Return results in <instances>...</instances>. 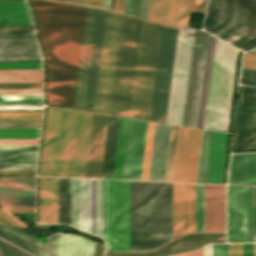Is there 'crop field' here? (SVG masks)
I'll list each match as a JSON object with an SVG mask.
<instances>
[{
  "label": "crop field",
  "instance_id": "8a807250",
  "mask_svg": "<svg viewBox=\"0 0 256 256\" xmlns=\"http://www.w3.org/2000/svg\"><path fill=\"white\" fill-rule=\"evenodd\" d=\"M32 3L47 57L48 104L71 108L86 7ZM178 31L87 7L72 108L165 122ZM202 33L180 28L166 122L189 126ZM210 37L203 33L190 126L199 124ZM238 51L215 40L202 128L228 129Z\"/></svg>",
  "mask_w": 256,
  "mask_h": 256
},
{
  "label": "crop field",
  "instance_id": "ac0d7876",
  "mask_svg": "<svg viewBox=\"0 0 256 256\" xmlns=\"http://www.w3.org/2000/svg\"><path fill=\"white\" fill-rule=\"evenodd\" d=\"M71 225L95 234V180L71 179ZM96 235L106 251H129V181L96 180Z\"/></svg>",
  "mask_w": 256,
  "mask_h": 256
},
{
  "label": "crop field",
  "instance_id": "34b2d1b8",
  "mask_svg": "<svg viewBox=\"0 0 256 256\" xmlns=\"http://www.w3.org/2000/svg\"><path fill=\"white\" fill-rule=\"evenodd\" d=\"M91 117L48 107L39 175L84 177Z\"/></svg>",
  "mask_w": 256,
  "mask_h": 256
},
{
  "label": "crop field",
  "instance_id": "412701ff",
  "mask_svg": "<svg viewBox=\"0 0 256 256\" xmlns=\"http://www.w3.org/2000/svg\"><path fill=\"white\" fill-rule=\"evenodd\" d=\"M172 240V183L130 181V251Z\"/></svg>",
  "mask_w": 256,
  "mask_h": 256
},
{
  "label": "crop field",
  "instance_id": "f4fd0767",
  "mask_svg": "<svg viewBox=\"0 0 256 256\" xmlns=\"http://www.w3.org/2000/svg\"><path fill=\"white\" fill-rule=\"evenodd\" d=\"M204 30L241 50L256 44V0H209Z\"/></svg>",
  "mask_w": 256,
  "mask_h": 256
},
{
  "label": "crop field",
  "instance_id": "dd49c442",
  "mask_svg": "<svg viewBox=\"0 0 256 256\" xmlns=\"http://www.w3.org/2000/svg\"><path fill=\"white\" fill-rule=\"evenodd\" d=\"M227 242H253V186H227Z\"/></svg>",
  "mask_w": 256,
  "mask_h": 256
},
{
  "label": "crop field",
  "instance_id": "e52e79f7",
  "mask_svg": "<svg viewBox=\"0 0 256 256\" xmlns=\"http://www.w3.org/2000/svg\"><path fill=\"white\" fill-rule=\"evenodd\" d=\"M201 133L180 127L173 181L195 182Z\"/></svg>",
  "mask_w": 256,
  "mask_h": 256
},
{
  "label": "crop field",
  "instance_id": "d8731c3e",
  "mask_svg": "<svg viewBox=\"0 0 256 256\" xmlns=\"http://www.w3.org/2000/svg\"><path fill=\"white\" fill-rule=\"evenodd\" d=\"M147 122L128 119L120 179L140 180Z\"/></svg>",
  "mask_w": 256,
  "mask_h": 256
},
{
  "label": "crop field",
  "instance_id": "5a996713",
  "mask_svg": "<svg viewBox=\"0 0 256 256\" xmlns=\"http://www.w3.org/2000/svg\"><path fill=\"white\" fill-rule=\"evenodd\" d=\"M195 232V184L173 183V239Z\"/></svg>",
  "mask_w": 256,
  "mask_h": 256
},
{
  "label": "crop field",
  "instance_id": "3316defc",
  "mask_svg": "<svg viewBox=\"0 0 256 256\" xmlns=\"http://www.w3.org/2000/svg\"><path fill=\"white\" fill-rule=\"evenodd\" d=\"M256 149V88L244 86L236 150Z\"/></svg>",
  "mask_w": 256,
  "mask_h": 256
},
{
  "label": "crop field",
  "instance_id": "28ad6ade",
  "mask_svg": "<svg viewBox=\"0 0 256 256\" xmlns=\"http://www.w3.org/2000/svg\"><path fill=\"white\" fill-rule=\"evenodd\" d=\"M107 119L93 114L85 177L100 178Z\"/></svg>",
  "mask_w": 256,
  "mask_h": 256
},
{
  "label": "crop field",
  "instance_id": "d1516ede",
  "mask_svg": "<svg viewBox=\"0 0 256 256\" xmlns=\"http://www.w3.org/2000/svg\"><path fill=\"white\" fill-rule=\"evenodd\" d=\"M225 231V186L205 185V232Z\"/></svg>",
  "mask_w": 256,
  "mask_h": 256
},
{
  "label": "crop field",
  "instance_id": "22f410ed",
  "mask_svg": "<svg viewBox=\"0 0 256 256\" xmlns=\"http://www.w3.org/2000/svg\"><path fill=\"white\" fill-rule=\"evenodd\" d=\"M171 125L155 123L148 180L164 181Z\"/></svg>",
  "mask_w": 256,
  "mask_h": 256
},
{
  "label": "crop field",
  "instance_id": "cbeb9de0",
  "mask_svg": "<svg viewBox=\"0 0 256 256\" xmlns=\"http://www.w3.org/2000/svg\"><path fill=\"white\" fill-rule=\"evenodd\" d=\"M38 146H0V170H35Z\"/></svg>",
  "mask_w": 256,
  "mask_h": 256
},
{
  "label": "crop field",
  "instance_id": "5142ce71",
  "mask_svg": "<svg viewBox=\"0 0 256 256\" xmlns=\"http://www.w3.org/2000/svg\"><path fill=\"white\" fill-rule=\"evenodd\" d=\"M39 223H57V178L39 177Z\"/></svg>",
  "mask_w": 256,
  "mask_h": 256
},
{
  "label": "crop field",
  "instance_id": "d9b57169",
  "mask_svg": "<svg viewBox=\"0 0 256 256\" xmlns=\"http://www.w3.org/2000/svg\"><path fill=\"white\" fill-rule=\"evenodd\" d=\"M228 184H256V152L232 154Z\"/></svg>",
  "mask_w": 256,
  "mask_h": 256
},
{
  "label": "crop field",
  "instance_id": "733c2abd",
  "mask_svg": "<svg viewBox=\"0 0 256 256\" xmlns=\"http://www.w3.org/2000/svg\"><path fill=\"white\" fill-rule=\"evenodd\" d=\"M227 134L213 132L206 183L221 184Z\"/></svg>",
  "mask_w": 256,
  "mask_h": 256
},
{
  "label": "crop field",
  "instance_id": "4a817a6b",
  "mask_svg": "<svg viewBox=\"0 0 256 256\" xmlns=\"http://www.w3.org/2000/svg\"><path fill=\"white\" fill-rule=\"evenodd\" d=\"M41 58L37 39L0 40V59Z\"/></svg>",
  "mask_w": 256,
  "mask_h": 256
},
{
  "label": "crop field",
  "instance_id": "bc2a9ffb",
  "mask_svg": "<svg viewBox=\"0 0 256 256\" xmlns=\"http://www.w3.org/2000/svg\"><path fill=\"white\" fill-rule=\"evenodd\" d=\"M210 242H225V233L205 234V236L186 237L177 243L171 245L165 250L158 252L152 256H169L193 249H197ZM105 256H117L113 254H105Z\"/></svg>",
  "mask_w": 256,
  "mask_h": 256
},
{
  "label": "crop field",
  "instance_id": "214f88e0",
  "mask_svg": "<svg viewBox=\"0 0 256 256\" xmlns=\"http://www.w3.org/2000/svg\"><path fill=\"white\" fill-rule=\"evenodd\" d=\"M33 24L26 1L0 2V25Z\"/></svg>",
  "mask_w": 256,
  "mask_h": 256
},
{
  "label": "crop field",
  "instance_id": "92a150f3",
  "mask_svg": "<svg viewBox=\"0 0 256 256\" xmlns=\"http://www.w3.org/2000/svg\"><path fill=\"white\" fill-rule=\"evenodd\" d=\"M94 243L74 235L60 233L58 256H93Z\"/></svg>",
  "mask_w": 256,
  "mask_h": 256
},
{
  "label": "crop field",
  "instance_id": "dafd665d",
  "mask_svg": "<svg viewBox=\"0 0 256 256\" xmlns=\"http://www.w3.org/2000/svg\"><path fill=\"white\" fill-rule=\"evenodd\" d=\"M118 122L119 118L109 116L101 178H112Z\"/></svg>",
  "mask_w": 256,
  "mask_h": 256
},
{
  "label": "crop field",
  "instance_id": "00972430",
  "mask_svg": "<svg viewBox=\"0 0 256 256\" xmlns=\"http://www.w3.org/2000/svg\"><path fill=\"white\" fill-rule=\"evenodd\" d=\"M0 236L37 256H45L46 245L7 225H0Z\"/></svg>",
  "mask_w": 256,
  "mask_h": 256
},
{
  "label": "crop field",
  "instance_id": "a9b5d70f",
  "mask_svg": "<svg viewBox=\"0 0 256 256\" xmlns=\"http://www.w3.org/2000/svg\"><path fill=\"white\" fill-rule=\"evenodd\" d=\"M58 223L70 225V179L58 178Z\"/></svg>",
  "mask_w": 256,
  "mask_h": 256
},
{
  "label": "crop field",
  "instance_id": "4177f3b9",
  "mask_svg": "<svg viewBox=\"0 0 256 256\" xmlns=\"http://www.w3.org/2000/svg\"><path fill=\"white\" fill-rule=\"evenodd\" d=\"M0 82H42V70H0Z\"/></svg>",
  "mask_w": 256,
  "mask_h": 256
},
{
  "label": "crop field",
  "instance_id": "730fd06b",
  "mask_svg": "<svg viewBox=\"0 0 256 256\" xmlns=\"http://www.w3.org/2000/svg\"><path fill=\"white\" fill-rule=\"evenodd\" d=\"M206 0H180L177 25L188 26L189 12L204 13Z\"/></svg>",
  "mask_w": 256,
  "mask_h": 256
},
{
  "label": "crop field",
  "instance_id": "eef30255",
  "mask_svg": "<svg viewBox=\"0 0 256 256\" xmlns=\"http://www.w3.org/2000/svg\"><path fill=\"white\" fill-rule=\"evenodd\" d=\"M127 119L120 118L113 178L119 179Z\"/></svg>",
  "mask_w": 256,
  "mask_h": 256
},
{
  "label": "crop field",
  "instance_id": "ae1a2a85",
  "mask_svg": "<svg viewBox=\"0 0 256 256\" xmlns=\"http://www.w3.org/2000/svg\"><path fill=\"white\" fill-rule=\"evenodd\" d=\"M40 128H0V138H39Z\"/></svg>",
  "mask_w": 256,
  "mask_h": 256
},
{
  "label": "crop field",
  "instance_id": "d3111659",
  "mask_svg": "<svg viewBox=\"0 0 256 256\" xmlns=\"http://www.w3.org/2000/svg\"><path fill=\"white\" fill-rule=\"evenodd\" d=\"M0 105H43V96H0Z\"/></svg>",
  "mask_w": 256,
  "mask_h": 256
},
{
  "label": "crop field",
  "instance_id": "750c4746",
  "mask_svg": "<svg viewBox=\"0 0 256 256\" xmlns=\"http://www.w3.org/2000/svg\"><path fill=\"white\" fill-rule=\"evenodd\" d=\"M196 232H204V185L196 184Z\"/></svg>",
  "mask_w": 256,
  "mask_h": 256
},
{
  "label": "crop field",
  "instance_id": "bd1437ed",
  "mask_svg": "<svg viewBox=\"0 0 256 256\" xmlns=\"http://www.w3.org/2000/svg\"><path fill=\"white\" fill-rule=\"evenodd\" d=\"M0 208H34V197H0Z\"/></svg>",
  "mask_w": 256,
  "mask_h": 256
},
{
  "label": "crop field",
  "instance_id": "1d83c4d3",
  "mask_svg": "<svg viewBox=\"0 0 256 256\" xmlns=\"http://www.w3.org/2000/svg\"><path fill=\"white\" fill-rule=\"evenodd\" d=\"M149 0H125L124 12L147 19Z\"/></svg>",
  "mask_w": 256,
  "mask_h": 256
},
{
  "label": "crop field",
  "instance_id": "120bbe31",
  "mask_svg": "<svg viewBox=\"0 0 256 256\" xmlns=\"http://www.w3.org/2000/svg\"><path fill=\"white\" fill-rule=\"evenodd\" d=\"M154 123L148 122L141 180H147Z\"/></svg>",
  "mask_w": 256,
  "mask_h": 256
},
{
  "label": "crop field",
  "instance_id": "d32e631a",
  "mask_svg": "<svg viewBox=\"0 0 256 256\" xmlns=\"http://www.w3.org/2000/svg\"><path fill=\"white\" fill-rule=\"evenodd\" d=\"M177 129L178 126L172 125L165 181H171L172 177Z\"/></svg>",
  "mask_w": 256,
  "mask_h": 256
},
{
  "label": "crop field",
  "instance_id": "5866460e",
  "mask_svg": "<svg viewBox=\"0 0 256 256\" xmlns=\"http://www.w3.org/2000/svg\"><path fill=\"white\" fill-rule=\"evenodd\" d=\"M42 112H0V120H41Z\"/></svg>",
  "mask_w": 256,
  "mask_h": 256
},
{
  "label": "crop field",
  "instance_id": "028f5c9d",
  "mask_svg": "<svg viewBox=\"0 0 256 256\" xmlns=\"http://www.w3.org/2000/svg\"><path fill=\"white\" fill-rule=\"evenodd\" d=\"M0 69H42V61L0 62Z\"/></svg>",
  "mask_w": 256,
  "mask_h": 256
},
{
  "label": "crop field",
  "instance_id": "e1f06a70",
  "mask_svg": "<svg viewBox=\"0 0 256 256\" xmlns=\"http://www.w3.org/2000/svg\"><path fill=\"white\" fill-rule=\"evenodd\" d=\"M165 1L166 0H150L148 19L163 23Z\"/></svg>",
  "mask_w": 256,
  "mask_h": 256
},
{
  "label": "crop field",
  "instance_id": "0bd39190",
  "mask_svg": "<svg viewBox=\"0 0 256 256\" xmlns=\"http://www.w3.org/2000/svg\"><path fill=\"white\" fill-rule=\"evenodd\" d=\"M0 224H7L21 232L27 227V225L6 209H0Z\"/></svg>",
  "mask_w": 256,
  "mask_h": 256
},
{
  "label": "crop field",
  "instance_id": "b80d0937",
  "mask_svg": "<svg viewBox=\"0 0 256 256\" xmlns=\"http://www.w3.org/2000/svg\"><path fill=\"white\" fill-rule=\"evenodd\" d=\"M0 196H34V187H0Z\"/></svg>",
  "mask_w": 256,
  "mask_h": 256
},
{
  "label": "crop field",
  "instance_id": "c035e120",
  "mask_svg": "<svg viewBox=\"0 0 256 256\" xmlns=\"http://www.w3.org/2000/svg\"><path fill=\"white\" fill-rule=\"evenodd\" d=\"M179 0H167L164 23L176 25Z\"/></svg>",
  "mask_w": 256,
  "mask_h": 256
},
{
  "label": "crop field",
  "instance_id": "c21b1889",
  "mask_svg": "<svg viewBox=\"0 0 256 256\" xmlns=\"http://www.w3.org/2000/svg\"><path fill=\"white\" fill-rule=\"evenodd\" d=\"M6 38H37L34 30H4L0 31V39Z\"/></svg>",
  "mask_w": 256,
  "mask_h": 256
},
{
  "label": "crop field",
  "instance_id": "03da06ac",
  "mask_svg": "<svg viewBox=\"0 0 256 256\" xmlns=\"http://www.w3.org/2000/svg\"><path fill=\"white\" fill-rule=\"evenodd\" d=\"M0 186H34V178H0Z\"/></svg>",
  "mask_w": 256,
  "mask_h": 256
},
{
  "label": "crop field",
  "instance_id": "b54c1fbb",
  "mask_svg": "<svg viewBox=\"0 0 256 256\" xmlns=\"http://www.w3.org/2000/svg\"><path fill=\"white\" fill-rule=\"evenodd\" d=\"M0 95H43L42 89H0Z\"/></svg>",
  "mask_w": 256,
  "mask_h": 256
},
{
  "label": "crop field",
  "instance_id": "5d738f31",
  "mask_svg": "<svg viewBox=\"0 0 256 256\" xmlns=\"http://www.w3.org/2000/svg\"><path fill=\"white\" fill-rule=\"evenodd\" d=\"M8 244L0 240V256H30Z\"/></svg>",
  "mask_w": 256,
  "mask_h": 256
},
{
  "label": "crop field",
  "instance_id": "d23c7cc5",
  "mask_svg": "<svg viewBox=\"0 0 256 256\" xmlns=\"http://www.w3.org/2000/svg\"><path fill=\"white\" fill-rule=\"evenodd\" d=\"M41 121H0V127H40Z\"/></svg>",
  "mask_w": 256,
  "mask_h": 256
},
{
  "label": "crop field",
  "instance_id": "425ffa30",
  "mask_svg": "<svg viewBox=\"0 0 256 256\" xmlns=\"http://www.w3.org/2000/svg\"><path fill=\"white\" fill-rule=\"evenodd\" d=\"M39 139H0V145H38Z\"/></svg>",
  "mask_w": 256,
  "mask_h": 256
},
{
  "label": "crop field",
  "instance_id": "25e5ab78",
  "mask_svg": "<svg viewBox=\"0 0 256 256\" xmlns=\"http://www.w3.org/2000/svg\"><path fill=\"white\" fill-rule=\"evenodd\" d=\"M241 76L256 79V70L242 68ZM243 77H241L240 84L256 86L255 79H249V78H243Z\"/></svg>",
  "mask_w": 256,
  "mask_h": 256
},
{
  "label": "crop field",
  "instance_id": "73cf0c24",
  "mask_svg": "<svg viewBox=\"0 0 256 256\" xmlns=\"http://www.w3.org/2000/svg\"><path fill=\"white\" fill-rule=\"evenodd\" d=\"M58 240H59V233L51 237H48L47 256L58 255Z\"/></svg>",
  "mask_w": 256,
  "mask_h": 256
},
{
  "label": "crop field",
  "instance_id": "89e229c0",
  "mask_svg": "<svg viewBox=\"0 0 256 256\" xmlns=\"http://www.w3.org/2000/svg\"><path fill=\"white\" fill-rule=\"evenodd\" d=\"M0 88H42V83H0Z\"/></svg>",
  "mask_w": 256,
  "mask_h": 256
},
{
  "label": "crop field",
  "instance_id": "1f2cbd36",
  "mask_svg": "<svg viewBox=\"0 0 256 256\" xmlns=\"http://www.w3.org/2000/svg\"><path fill=\"white\" fill-rule=\"evenodd\" d=\"M212 132L208 131L201 183H205Z\"/></svg>",
  "mask_w": 256,
  "mask_h": 256
},
{
  "label": "crop field",
  "instance_id": "dbb93151",
  "mask_svg": "<svg viewBox=\"0 0 256 256\" xmlns=\"http://www.w3.org/2000/svg\"><path fill=\"white\" fill-rule=\"evenodd\" d=\"M35 171H0V177H34Z\"/></svg>",
  "mask_w": 256,
  "mask_h": 256
},
{
  "label": "crop field",
  "instance_id": "0fb4a251",
  "mask_svg": "<svg viewBox=\"0 0 256 256\" xmlns=\"http://www.w3.org/2000/svg\"><path fill=\"white\" fill-rule=\"evenodd\" d=\"M242 67L256 69V55L246 53L243 57Z\"/></svg>",
  "mask_w": 256,
  "mask_h": 256
},
{
  "label": "crop field",
  "instance_id": "1d79db26",
  "mask_svg": "<svg viewBox=\"0 0 256 256\" xmlns=\"http://www.w3.org/2000/svg\"><path fill=\"white\" fill-rule=\"evenodd\" d=\"M213 256H228V244L213 245Z\"/></svg>",
  "mask_w": 256,
  "mask_h": 256
},
{
  "label": "crop field",
  "instance_id": "9d1cf04e",
  "mask_svg": "<svg viewBox=\"0 0 256 256\" xmlns=\"http://www.w3.org/2000/svg\"><path fill=\"white\" fill-rule=\"evenodd\" d=\"M43 106H0V110H42Z\"/></svg>",
  "mask_w": 256,
  "mask_h": 256
},
{
  "label": "crop field",
  "instance_id": "447ae74e",
  "mask_svg": "<svg viewBox=\"0 0 256 256\" xmlns=\"http://www.w3.org/2000/svg\"><path fill=\"white\" fill-rule=\"evenodd\" d=\"M206 134H207V131L204 130L203 141H202V148H201V156H200V164H199V171H198V179H197V182H199V183H200V180H201V172H202V165H203V157H204V149H205V142H206Z\"/></svg>",
  "mask_w": 256,
  "mask_h": 256
},
{
  "label": "crop field",
  "instance_id": "0765c3eb",
  "mask_svg": "<svg viewBox=\"0 0 256 256\" xmlns=\"http://www.w3.org/2000/svg\"><path fill=\"white\" fill-rule=\"evenodd\" d=\"M229 256H242V244H229Z\"/></svg>",
  "mask_w": 256,
  "mask_h": 256
},
{
  "label": "crop field",
  "instance_id": "db79e9e6",
  "mask_svg": "<svg viewBox=\"0 0 256 256\" xmlns=\"http://www.w3.org/2000/svg\"><path fill=\"white\" fill-rule=\"evenodd\" d=\"M4 29H34V27L33 25L0 26V30Z\"/></svg>",
  "mask_w": 256,
  "mask_h": 256
},
{
  "label": "crop field",
  "instance_id": "7b73153f",
  "mask_svg": "<svg viewBox=\"0 0 256 256\" xmlns=\"http://www.w3.org/2000/svg\"><path fill=\"white\" fill-rule=\"evenodd\" d=\"M243 256H253V244H243Z\"/></svg>",
  "mask_w": 256,
  "mask_h": 256
},
{
  "label": "crop field",
  "instance_id": "78b8030e",
  "mask_svg": "<svg viewBox=\"0 0 256 256\" xmlns=\"http://www.w3.org/2000/svg\"><path fill=\"white\" fill-rule=\"evenodd\" d=\"M124 0H115L114 10L123 12Z\"/></svg>",
  "mask_w": 256,
  "mask_h": 256
},
{
  "label": "crop field",
  "instance_id": "0f1d7ab4",
  "mask_svg": "<svg viewBox=\"0 0 256 256\" xmlns=\"http://www.w3.org/2000/svg\"><path fill=\"white\" fill-rule=\"evenodd\" d=\"M177 256H203V248L197 251L177 255Z\"/></svg>",
  "mask_w": 256,
  "mask_h": 256
},
{
  "label": "crop field",
  "instance_id": "e1d0b9f6",
  "mask_svg": "<svg viewBox=\"0 0 256 256\" xmlns=\"http://www.w3.org/2000/svg\"><path fill=\"white\" fill-rule=\"evenodd\" d=\"M204 256H212V245L204 247Z\"/></svg>",
  "mask_w": 256,
  "mask_h": 256
},
{
  "label": "crop field",
  "instance_id": "ae633e8c",
  "mask_svg": "<svg viewBox=\"0 0 256 256\" xmlns=\"http://www.w3.org/2000/svg\"><path fill=\"white\" fill-rule=\"evenodd\" d=\"M102 0H87V4L101 7Z\"/></svg>",
  "mask_w": 256,
  "mask_h": 256
},
{
  "label": "crop field",
  "instance_id": "d14b1444",
  "mask_svg": "<svg viewBox=\"0 0 256 256\" xmlns=\"http://www.w3.org/2000/svg\"><path fill=\"white\" fill-rule=\"evenodd\" d=\"M111 0H103L102 7L110 9Z\"/></svg>",
  "mask_w": 256,
  "mask_h": 256
},
{
  "label": "crop field",
  "instance_id": "c39391a2",
  "mask_svg": "<svg viewBox=\"0 0 256 256\" xmlns=\"http://www.w3.org/2000/svg\"><path fill=\"white\" fill-rule=\"evenodd\" d=\"M254 242H256V186H255V239Z\"/></svg>",
  "mask_w": 256,
  "mask_h": 256
},
{
  "label": "crop field",
  "instance_id": "ade564c9",
  "mask_svg": "<svg viewBox=\"0 0 256 256\" xmlns=\"http://www.w3.org/2000/svg\"><path fill=\"white\" fill-rule=\"evenodd\" d=\"M70 2L86 4V0H70Z\"/></svg>",
  "mask_w": 256,
  "mask_h": 256
},
{
  "label": "crop field",
  "instance_id": "c5b07064",
  "mask_svg": "<svg viewBox=\"0 0 256 256\" xmlns=\"http://www.w3.org/2000/svg\"><path fill=\"white\" fill-rule=\"evenodd\" d=\"M254 256H256V244H254Z\"/></svg>",
  "mask_w": 256,
  "mask_h": 256
},
{
  "label": "crop field",
  "instance_id": "c3a83c6f",
  "mask_svg": "<svg viewBox=\"0 0 256 256\" xmlns=\"http://www.w3.org/2000/svg\"><path fill=\"white\" fill-rule=\"evenodd\" d=\"M58 1H64V2H69V0H58Z\"/></svg>",
  "mask_w": 256,
  "mask_h": 256
},
{
  "label": "crop field",
  "instance_id": "fb207236",
  "mask_svg": "<svg viewBox=\"0 0 256 256\" xmlns=\"http://www.w3.org/2000/svg\"><path fill=\"white\" fill-rule=\"evenodd\" d=\"M250 52H256V48H255V49H253V50H251Z\"/></svg>",
  "mask_w": 256,
  "mask_h": 256
},
{
  "label": "crop field",
  "instance_id": "7312dd0a",
  "mask_svg": "<svg viewBox=\"0 0 256 256\" xmlns=\"http://www.w3.org/2000/svg\"><path fill=\"white\" fill-rule=\"evenodd\" d=\"M0 1H3V0H0Z\"/></svg>",
  "mask_w": 256,
  "mask_h": 256
}]
</instances>
